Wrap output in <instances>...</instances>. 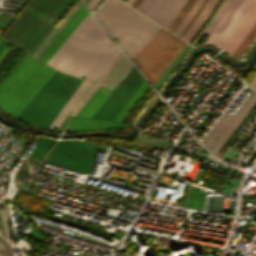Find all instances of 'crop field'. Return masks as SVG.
I'll list each match as a JSON object with an SVG mask.
<instances>
[{
	"mask_svg": "<svg viewBox=\"0 0 256 256\" xmlns=\"http://www.w3.org/2000/svg\"><path fill=\"white\" fill-rule=\"evenodd\" d=\"M71 1L30 0L3 38L29 54Z\"/></svg>",
	"mask_w": 256,
	"mask_h": 256,
	"instance_id": "34b2d1b8",
	"label": "crop field"
},
{
	"mask_svg": "<svg viewBox=\"0 0 256 256\" xmlns=\"http://www.w3.org/2000/svg\"><path fill=\"white\" fill-rule=\"evenodd\" d=\"M256 23V0L253 3L252 7L245 15L238 28L234 32V34L230 37V39L225 43L222 47V50L228 52L230 55L241 42V40L245 37V35L249 32V30Z\"/></svg>",
	"mask_w": 256,
	"mask_h": 256,
	"instance_id": "d8731c3e",
	"label": "crop field"
},
{
	"mask_svg": "<svg viewBox=\"0 0 256 256\" xmlns=\"http://www.w3.org/2000/svg\"><path fill=\"white\" fill-rule=\"evenodd\" d=\"M82 3L80 0L72 6V8L67 12V14L62 18V20L57 24L53 31L48 35V37L43 41V43L38 47V49L33 53L32 57L38 58V56L43 52V50L48 46L52 39L57 35L61 28L66 24V22L71 18L75 11L80 7Z\"/></svg>",
	"mask_w": 256,
	"mask_h": 256,
	"instance_id": "3316defc",
	"label": "crop field"
},
{
	"mask_svg": "<svg viewBox=\"0 0 256 256\" xmlns=\"http://www.w3.org/2000/svg\"><path fill=\"white\" fill-rule=\"evenodd\" d=\"M53 72L25 55L0 85V108L15 117Z\"/></svg>",
	"mask_w": 256,
	"mask_h": 256,
	"instance_id": "412701ff",
	"label": "crop field"
},
{
	"mask_svg": "<svg viewBox=\"0 0 256 256\" xmlns=\"http://www.w3.org/2000/svg\"><path fill=\"white\" fill-rule=\"evenodd\" d=\"M6 50H7V48H6V46H5V48H4V50L1 52V54H0V58H1V56L6 52Z\"/></svg>",
	"mask_w": 256,
	"mask_h": 256,
	"instance_id": "cbeb9de0",
	"label": "crop field"
},
{
	"mask_svg": "<svg viewBox=\"0 0 256 256\" xmlns=\"http://www.w3.org/2000/svg\"><path fill=\"white\" fill-rule=\"evenodd\" d=\"M184 43L161 28L133 61L153 85Z\"/></svg>",
	"mask_w": 256,
	"mask_h": 256,
	"instance_id": "f4fd0767",
	"label": "crop field"
},
{
	"mask_svg": "<svg viewBox=\"0 0 256 256\" xmlns=\"http://www.w3.org/2000/svg\"><path fill=\"white\" fill-rule=\"evenodd\" d=\"M134 0H127V2L126 3H128V4H132V2H133Z\"/></svg>",
	"mask_w": 256,
	"mask_h": 256,
	"instance_id": "5142ce71",
	"label": "crop field"
},
{
	"mask_svg": "<svg viewBox=\"0 0 256 256\" xmlns=\"http://www.w3.org/2000/svg\"><path fill=\"white\" fill-rule=\"evenodd\" d=\"M140 135L135 139V142L141 143V144H146V145H151V146H155V147L165 148V149H168V147L170 145L169 143L164 142V141H162V142L167 143L169 145L159 142L160 140L156 141V140H158L156 138H154V139H156V140H154V139H151L153 137L147 138L149 136L144 137L145 135L144 136H140ZM137 143H135V144H137ZM141 144H137V145H141ZM146 145H142V146H146ZM151 146H148V147H151ZM155 147H153V148H155ZM160 148H156V149H160ZM165 149H160V150L166 151Z\"/></svg>",
	"mask_w": 256,
	"mask_h": 256,
	"instance_id": "28ad6ade",
	"label": "crop field"
},
{
	"mask_svg": "<svg viewBox=\"0 0 256 256\" xmlns=\"http://www.w3.org/2000/svg\"><path fill=\"white\" fill-rule=\"evenodd\" d=\"M218 0H209L206 6L203 8L195 22L192 24V26L189 28V30L186 32V34L183 36V40L190 43V41L193 39L197 31L200 29L204 21L207 19L215 5L217 4Z\"/></svg>",
	"mask_w": 256,
	"mask_h": 256,
	"instance_id": "5a996713",
	"label": "crop field"
},
{
	"mask_svg": "<svg viewBox=\"0 0 256 256\" xmlns=\"http://www.w3.org/2000/svg\"><path fill=\"white\" fill-rule=\"evenodd\" d=\"M227 2L229 3L225 6ZM253 2L254 0H224L215 18L206 27L195 44L203 34H207L210 36L204 44H215L221 48L233 34Z\"/></svg>",
	"mask_w": 256,
	"mask_h": 256,
	"instance_id": "dd49c442",
	"label": "crop field"
},
{
	"mask_svg": "<svg viewBox=\"0 0 256 256\" xmlns=\"http://www.w3.org/2000/svg\"><path fill=\"white\" fill-rule=\"evenodd\" d=\"M185 1L186 0H143L137 10L166 28Z\"/></svg>",
	"mask_w": 256,
	"mask_h": 256,
	"instance_id": "e52e79f7",
	"label": "crop field"
},
{
	"mask_svg": "<svg viewBox=\"0 0 256 256\" xmlns=\"http://www.w3.org/2000/svg\"><path fill=\"white\" fill-rule=\"evenodd\" d=\"M203 2V0H197L196 3L193 5V7L190 9L189 13L187 14V16L184 18V20L181 22V24L178 26V28L175 30L174 34L178 35L182 32V30L184 29V27L187 25V23L190 21V19L192 18V16L195 14V12L197 11V9L199 8V6L201 5V3ZM177 36V37H178Z\"/></svg>",
	"mask_w": 256,
	"mask_h": 256,
	"instance_id": "22f410ed",
	"label": "crop field"
},
{
	"mask_svg": "<svg viewBox=\"0 0 256 256\" xmlns=\"http://www.w3.org/2000/svg\"><path fill=\"white\" fill-rule=\"evenodd\" d=\"M87 12L82 4L38 60L48 64ZM118 51L119 48L105 35L102 27L88 14L48 65L94 81ZM96 57L99 59L95 60Z\"/></svg>",
	"mask_w": 256,
	"mask_h": 256,
	"instance_id": "8a807250",
	"label": "crop field"
},
{
	"mask_svg": "<svg viewBox=\"0 0 256 256\" xmlns=\"http://www.w3.org/2000/svg\"><path fill=\"white\" fill-rule=\"evenodd\" d=\"M120 53V52H119ZM118 53V54H119ZM116 55V57L118 56ZM115 57V58H116ZM114 58V59H115ZM113 59V60H114ZM112 60V62H113ZM111 62V63H112ZM110 63V64H111ZM109 64V65H110ZM108 65V66H109ZM107 66V67H108ZM133 65L126 58V56L121 52L119 56L114 60V62L109 66L103 75L98 79L96 84L106 86L114 89L115 86L120 82V80L125 76V74L130 70ZM94 84L90 91L81 97L78 103L73 108L72 115L78 116L79 113L83 110V108L87 105V103L91 100V98L95 95V93L99 90L100 86ZM149 84L146 80L143 84L137 89V91L131 96V98L126 102V104L121 108L119 113L116 115L113 121L103 120V119H90L92 115L96 112V110L100 107L103 101L107 98V96L111 93V89L101 87L100 90L96 93V95L92 98V100L88 103V105L84 108V110L80 113L78 117L72 116L69 119V123L65 129L76 130V131H85V130H94V129H108V128H127L128 126L121 124L120 122L126 116V114L131 110V108L135 105L144 91L147 89ZM149 88V87H148Z\"/></svg>",
	"mask_w": 256,
	"mask_h": 256,
	"instance_id": "ac0d7876",
	"label": "crop field"
},
{
	"mask_svg": "<svg viewBox=\"0 0 256 256\" xmlns=\"http://www.w3.org/2000/svg\"><path fill=\"white\" fill-rule=\"evenodd\" d=\"M255 34H256V24L250 30V32L246 35V37L243 39V41L240 43V45L236 48V50L233 52L232 56L239 57L240 54L244 51V49L248 46V44L252 41Z\"/></svg>",
	"mask_w": 256,
	"mask_h": 256,
	"instance_id": "d1516ede",
	"label": "crop field"
}]
</instances>
